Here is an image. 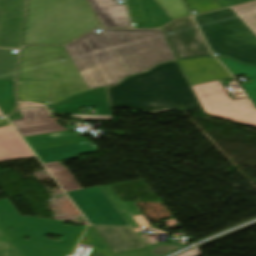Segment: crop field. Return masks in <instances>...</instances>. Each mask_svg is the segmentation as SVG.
<instances>
[{
    "label": "crop field",
    "instance_id": "8",
    "mask_svg": "<svg viewBox=\"0 0 256 256\" xmlns=\"http://www.w3.org/2000/svg\"><path fill=\"white\" fill-rule=\"evenodd\" d=\"M192 89L205 113H219L256 121V111L247 98L232 100L219 80L193 86Z\"/></svg>",
    "mask_w": 256,
    "mask_h": 256
},
{
    "label": "crop field",
    "instance_id": "27",
    "mask_svg": "<svg viewBox=\"0 0 256 256\" xmlns=\"http://www.w3.org/2000/svg\"><path fill=\"white\" fill-rule=\"evenodd\" d=\"M116 256H153V255L148 251L147 248H144L140 250L120 253V254H117Z\"/></svg>",
    "mask_w": 256,
    "mask_h": 256
},
{
    "label": "crop field",
    "instance_id": "14",
    "mask_svg": "<svg viewBox=\"0 0 256 256\" xmlns=\"http://www.w3.org/2000/svg\"><path fill=\"white\" fill-rule=\"evenodd\" d=\"M102 27L131 28V24L124 5L116 0H87ZM96 16V17H97Z\"/></svg>",
    "mask_w": 256,
    "mask_h": 256
},
{
    "label": "crop field",
    "instance_id": "4",
    "mask_svg": "<svg viewBox=\"0 0 256 256\" xmlns=\"http://www.w3.org/2000/svg\"><path fill=\"white\" fill-rule=\"evenodd\" d=\"M63 224L61 220L21 216L8 199L0 200V227L21 256L72 254L84 228ZM45 234L63 236L62 242L46 239ZM25 236L30 240H24Z\"/></svg>",
    "mask_w": 256,
    "mask_h": 256
},
{
    "label": "crop field",
    "instance_id": "10",
    "mask_svg": "<svg viewBox=\"0 0 256 256\" xmlns=\"http://www.w3.org/2000/svg\"><path fill=\"white\" fill-rule=\"evenodd\" d=\"M161 31L176 59L212 56L192 18L177 21Z\"/></svg>",
    "mask_w": 256,
    "mask_h": 256
},
{
    "label": "crop field",
    "instance_id": "36",
    "mask_svg": "<svg viewBox=\"0 0 256 256\" xmlns=\"http://www.w3.org/2000/svg\"><path fill=\"white\" fill-rule=\"evenodd\" d=\"M33 105H34V107L44 106V105L35 104V103H33Z\"/></svg>",
    "mask_w": 256,
    "mask_h": 256
},
{
    "label": "crop field",
    "instance_id": "23",
    "mask_svg": "<svg viewBox=\"0 0 256 256\" xmlns=\"http://www.w3.org/2000/svg\"><path fill=\"white\" fill-rule=\"evenodd\" d=\"M174 20L189 16L182 0H156Z\"/></svg>",
    "mask_w": 256,
    "mask_h": 256
},
{
    "label": "crop field",
    "instance_id": "31",
    "mask_svg": "<svg viewBox=\"0 0 256 256\" xmlns=\"http://www.w3.org/2000/svg\"><path fill=\"white\" fill-rule=\"evenodd\" d=\"M212 115H213V116H217V117H221V118H225V119H229V120H233V121H237V122H241V123H245V124H249V125L256 126V122L247 121V120H243V119H238V118H234V117H230V116L219 115V114H212Z\"/></svg>",
    "mask_w": 256,
    "mask_h": 256
},
{
    "label": "crop field",
    "instance_id": "1",
    "mask_svg": "<svg viewBox=\"0 0 256 256\" xmlns=\"http://www.w3.org/2000/svg\"><path fill=\"white\" fill-rule=\"evenodd\" d=\"M103 30L130 74H127L104 33L92 32L65 47L89 90L116 84L159 62L175 60L159 30Z\"/></svg>",
    "mask_w": 256,
    "mask_h": 256
},
{
    "label": "crop field",
    "instance_id": "37",
    "mask_svg": "<svg viewBox=\"0 0 256 256\" xmlns=\"http://www.w3.org/2000/svg\"><path fill=\"white\" fill-rule=\"evenodd\" d=\"M5 120H6L5 117L4 119H0V124H2Z\"/></svg>",
    "mask_w": 256,
    "mask_h": 256
},
{
    "label": "crop field",
    "instance_id": "12",
    "mask_svg": "<svg viewBox=\"0 0 256 256\" xmlns=\"http://www.w3.org/2000/svg\"><path fill=\"white\" fill-rule=\"evenodd\" d=\"M79 107H96L97 115H111L106 87L73 96L50 108L52 113L79 114Z\"/></svg>",
    "mask_w": 256,
    "mask_h": 256
},
{
    "label": "crop field",
    "instance_id": "18",
    "mask_svg": "<svg viewBox=\"0 0 256 256\" xmlns=\"http://www.w3.org/2000/svg\"><path fill=\"white\" fill-rule=\"evenodd\" d=\"M233 76L244 73L252 83L243 84L245 92L256 106V66H247L237 61L218 57Z\"/></svg>",
    "mask_w": 256,
    "mask_h": 256
},
{
    "label": "crop field",
    "instance_id": "13",
    "mask_svg": "<svg viewBox=\"0 0 256 256\" xmlns=\"http://www.w3.org/2000/svg\"><path fill=\"white\" fill-rule=\"evenodd\" d=\"M178 62L191 86L230 76L215 58Z\"/></svg>",
    "mask_w": 256,
    "mask_h": 256
},
{
    "label": "crop field",
    "instance_id": "2",
    "mask_svg": "<svg viewBox=\"0 0 256 256\" xmlns=\"http://www.w3.org/2000/svg\"><path fill=\"white\" fill-rule=\"evenodd\" d=\"M107 91L111 107L153 114L201 108L177 61L157 65L144 74L107 87Z\"/></svg>",
    "mask_w": 256,
    "mask_h": 256
},
{
    "label": "crop field",
    "instance_id": "24",
    "mask_svg": "<svg viewBox=\"0 0 256 256\" xmlns=\"http://www.w3.org/2000/svg\"><path fill=\"white\" fill-rule=\"evenodd\" d=\"M233 9L256 32V2L234 7Z\"/></svg>",
    "mask_w": 256,
    "mask_h": 256
},
{
    "label": "crop field",
    "instance_id": "28",
    "mask_svg": "<svg viewBox=\"0 0 256 256\" xmlns=\"http://www.w3.org/2000/svg\"><path fill=\"white\" fill-rule=\"evenodd\" d=\"M71 117H79L81 120L114 121L113 116H83V115H71Z\"/></svg>",
    "mask_w": 256,
    "mask_h": 256
},
{
    "label": "crop field",
    "instance_id": "11",
    "mask_svg": "<svg viewBox=\"0 0 256 256\" xmlns=\"http://www.w3.org/2000/svg\"><path fill=\"white\" fill-rule=\"evenodd\" d=\"M26 0H0V47L19 48Z\"/></svg>",
    "mask_w": 256,
    "mask_h": 256
},
{
    "label": "crop field",
    "instance_id": "35",
    "mask_svg": "<svg viewBox=\"0 0 256 256\" xmlns=\"http://www.w3.org/2000/svg\"><path fill=\"white\" fill-rule=\"evenodd\" d=\"M33 107L32 103H20L18 108Z\"/></svg>",
    "mask_w": 256,
    "mask_h": 256
},
{
    "label": "crop field",
    "instance_id": "3",
    "mask_svg": "<svg viewBox=\"0 0 256 256\" xmlns=\"http://www.w3.org/2000/svg\"><path fill=\"white\" fill-rule=\"evenodd\" d=\"M101 25L86 0H29L23 44H66Z\"/></svg>",
    "mask_w": 256,
    "mask_h": 256
},
{
    "label": "crop field",
    "instance_id": "16",
    "mask_svg": "<svg viewBox=\"0 0 256 256\" xmlns=\"http://www.w3.org/2000/svg\"><path fill=\"white\" fill-rule=\"evenodd\" d=\"M34 156L8 123L0 127V162Z\"/></svg>",
    "mask_w": 256,
    "mask_h": 256
},
{
    "label": "crop field",
    "instance_id": "6",
    "mask_svg": "<svg viewBox=\"0 0 256 256\" xmlns=\"http://www.w3.org/2000/svg\"><path fill=\"white\" fill-rule=\"evenodd\" d=\"M195 19L213 52L256 65V33L232 8Z\"/></svg>",
    "mask_w": 256,
    "mask_h": 256
},
{
    "label": "crop field",
    "instance_id": "30",
    "mask_svg": "<svg viewBox=\"0 0 256 256\" xmlns=\"http://www.w3.org/2000/svg\"><path fill=\"white\" fill-rule=\"evenodd\" d=\"M0 242L2 243L4 249L13 248V244L9 241L3 231L0 229Z\"/></svg>",
    "mask_w": 256,
    "mask_h": 256
},
{
    "label": "crop field",
    "instance_id": "5",
    "mask_svg": "<svg viewBox=\"0 0 256 256\" xmlns=\"http://www.w3.org/2000/svg\"><path fill=\"white\" fill-rule=\"evenodd\" d=\"M18 79L54 80L50 105L88 91L64 47L28 46L22 50Z\"/></svg>",
    "mask_w": 256,
    "mask_h": 256
},
{
    "label": "crop field",
    "instance_id": "17",
    "mask_svg": "<svg viewBox=\"0 0 256 256\" xmlns=\"http://www.w3.org/2000/svg\"><path fill=\"white\" fill-rule=\"evenodd\" d=\"M52 81L18 80L20 101H32L49 106L48 94Z\"/></svg>",
    "mask_w": 256,
    "mask_h": 256
},
{
    "label": "crop field",
    "instance_id": "21",
    "mask_svg": "<svg viewBox=\"0 0 256 256\" xmlns=\"http://www.w3.org/2000/svg\"><path fill=\"white\" fill-rule=\"evenodd\" d=\"M15 106L14 80H0V109L6 115L12 112Z\"/></svg>",
    "mask_w": 256,
    "mask_h": 256
},
{
    "label": "crop field",
    "instance_id": "38",
    "mask_svg": "<svg viewBox=\"0 0 256 256\" xmlns=\"http://www.w3.org/2000/svg\"><path fill=\"white\" fill-rule=\"evenodd\" d=\"M0 115H4L3 112L0 110Z\"/></svg>",
    "mask_w": 256,
    "mask_h": 256
},
{
    "label": "crop field",
    "instance_id": "34",
    "mask_svg": "<svg viewBox=\"0 0 256 256\" xmlns=\"http://www.w3.org/2000/svg\"><path fill=\"white\" fill-rule=\"evenodd\" d=\"M7 117L9 118V120H11V119L19 118V115H18L17 111H15V112H13L11 115H9Z\"/></svg>",
    "mask_w": 256,
    "mask_h": 256
},
{
    "label": "crop field",
    "instance_id": "29",
    "mask_svg": "<svg viewBox=\"0 0 256 256\" xmlns=\"http://www.w3.org/2000/svg\"><path fill=\"white\" fill-rule=\"evenodd\" d=\"M222 8L224 7H228V6H232V5H236V4H240V3H244V2H248V1H252V0H216Z\"/></svg>",
    "mask_w": 256,
    "mask_h": 256
},
{
    "label": "crop field",
    "instance_id": "26",
    "mask_svg": "<svg viewBox=\"0 0 256 256\" xmlns=\"http://www.w3.org/2000/svg\"><path fill=\"white\" fill-rule=\"evenodd\" d=\"M23 118L15 121H23V120H31V119H37V116L35 114V111L33 108H26V109H19ZM12 121V122H15Z\"/></svg>",
    "mask_w": 256,
    "mask_h": 256
},
{
    "label": "crop field",
    "instance_id": "15",
    "mask_svg": "<svg viewBox=\"0 0 256 256\" xmlns=\"http://www.w3.org/2000/svg\"><path fill=\"white\" fill-rule=\"evenodd\" d=\"M95 227L115 253L140 249L146 246L132 228Z\"/></svg>",
    "mask_w": 256,
    "mask_h": 256
},
{
    "label": "crop field",
    "instance_id": "7",
    "mask_svg": "<svg viewBox=\"0 0 256 256\" xmlns=\"http://www.w3.org/2000/svg\"><path fill=\"white\" fill-rule=\"evenodd\" d=\"M37 120L13 123L22 136L65 131L55 122L58 118H50L46 108H34ZM43 163L76 158L78 155L98 152L91 143L37 150L35 151Z\"/></svg>",
    "mask_w": 256,
    "mask_h": 256
},
{
    "label": "crop field",
    "instance_id": "9",
    "mask_svg": "<svg viewBox=\"0 0 256 256\" xmlns=\"http://www.w3.org/2000/svg\"><path fill=\"white\" fill-rule=\"evenodd\" d=\"M68 194L90 223L130 226L100 187Z\"/></svg>",
    "mask_w": 256,
    "mask_h": 256
},
{
    "label": "crop field",
    "instance_id": "19",
    "mask_svg": "<svg viewBox=\"0 0 256 256\" xmlns=\"http://www.w3.org/2000/svg\"><path fill=\"white\" fill-rule=\"evenodd\" d=\"M80 243L94 245L89 256H113L115 254L94 226L88 227Z\"/></svg>",
    "mask_w": 256,
    "mask_h": 256
},
{
    "label": "crop field",
    "instance_id": "33",
    "mask_svg": "<svg viewBox=\"0 0 256 256\" xmlns=\"http://www.w3.org/2000/svg\"><path fill=\"white\" fill-rule=\"evenodd\" d=\"M199 255V253H197L194 249L188 251V252H185L183 254H180L178 256H197Z\"/></svg>",
    "mask_w": 256,
    "mask_h": 256
},
{
    "label": "crop field",
    "instance_id": "22",
    "mask_svg": "<svg viewBox=\"0 0 256 256\" xmlns=\"http://www.w3.org/2000/svg\"><path fill=\"white\" fill-rule=\"evenodd\" d=\"M17 58L12 49H0V79H14Z\"/></svg>",
    "mask_w": 256,
    "mask_h": 256
},
{
    "label": "crop field",
    "instance_id": "25",
    "mask_svg": "<svg viewBox=\"0 0 256 256\" xmlns=\"http://www.w3.org/2000/svg\"><path fill=\"white\" fill-rule=\"evenodd\" d=\"M190 10H197L198 13H204L221 7L215 0H185Z\"/></svg>",
    "mask_w": 256,
    "mask_h": 256
},
{
    "label": "crop field",
    "instance_id": "32",
    "mask_svg": "<svg viewBox=\"0 0 256 256\" xmlns=\"http://www.w3.org/2000/svg\"><path fill=\"white\" fill-rule=\"evenodd\" d=\"M0 256H20L16 248L0 250Z\"/></svg>",
    "mask_w": 256,
    "mask_h": 256
},
{
    "label": "crop field",
    "instance_id": "20",
    "mask_svg": "<svg viewBox=\"0 0 256 256\" xmlns=\"http://www.w3.org/2000/svg\"><path fill=\"white\" fill-rule=\"evenodd\" d=\"M53 177H55L65 192L80 190V186L68 172V170L61 166L59 162L45 164Z\"/></svg>",
    "mask_w": 256,
    "mask_h": 256
}]
</instances>
